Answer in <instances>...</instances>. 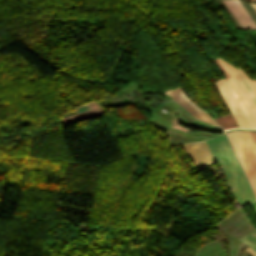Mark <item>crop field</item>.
Here are the masks:
<instances>
[{
	"label": "crop field",
	"mask_w": 256,
	"mask_h": 256,
	"mask_svg": "<svg viewBox=\"0 0 256 256\" xmlns=\"http://www.w3.org/2000/svg\"><path fill=\"white\" fill-rule=\"evenodd\" d=\"M206 143L223 172L232 194L241 205L256 200L225 136L206 140Z\"/></svg>",
	"instance_id": "crop-field-1"
},
{
	"label": "crop field",
	"mask_w": 256,
	"mask_h": 256,
	"mask_svg": "<svg viewBox=\"0 0 256 256\" xmlns=\"http://www.w3.org/2000/svg\"><path fill=\"white\" fill-rule=\"evenodd\" d=\"M256 195V144L249 131L226 133Z\"/></svg>",
	"instance_id": "crop-field-2"
},
{
	"label": "crop field",
	"mask_w": 256,
	"mask_h": 256,
	"mask_svg": "<svg viewBox=\"0 0 256 256\" xmlns=\"http://www.w3.org/2000/svg\"><path fill=\"white\" fill-rule=\"evenodd\" d=\"M240 128H256L230 77L215 82Z\"/></svg>",
	"instance_id": "crop-field-3"
},
{
	"label": "crop field",
	"mask_w": 256,
	"mask_h": 256,
	"mask_svg": "<svg viewBox=\"0 0 256 256\" xmlns=\"http://www.w3.org/2000/svg\"><path fill=\"white\" fill-rule=\"evenodd\" d=\"M218 62L221 64V66L225 69V71L228 73V75L231 77L236 89L238 90L243 102L245 103L250 115L252 116L255 124H256V107L249 96L245 86L243 85L239 75L236 73V71L233 69V67L227 63H225L220 58H216Z\"/></svg>",
	"instance_id": "crop-field-4"
},
{
	"label": "crop field",
	"mask_w": 256,
	"mask_h": 256,
	"mask_svg": "<svg viewBox=\"0 0 256 256\" xmlns=\"http://www.w3.org/2000/svg\"><path fill=\"white\" fill-rule=\"evenodd\" d=\"M172 99L178 102L181 106H183L188 112H190L194 117L200 120H204L210 122L212 124L217 125V123L212 120L207 113L203 112L202 110L198 109L181 91L179 87L175 89H170L166 92Z\"/></svg>",
	"instance_id": "crop-field-5"
},
{
	"label": "crop field",
	"mask_w": 256,
	"mask_h": 256,
	"mask_svg": "<svg viewBox=\"0 0 256 256\" xmlns=\"http://www.w3.org/2000/svg\"><path fill=\"white\" fill-rule=\"evenodd\" d=\"M183 148L199 169L212 164L214 161L204 141L184 145Z\"/></svg>",
	"instance_id": "crop-field-6"
},
{
	"label": "crop field",
	"mask_w": 256,
	"mask_h": 256,
	"mask_svg": "<svg viewBox=\"0 0 256 256\" xmlns=\"http://www.w3.org/2000/svg\"><path fill=\"white\" fill-rule=\"evenodd\" d=\"M244 29H256V24L239 0H222Z\"/></svg>",
	"instance_id": "crop-field-7"
},
{
	"label": "crop field",
	"mask_w": 256,
	"mask_h": 256,
	"mask_svg": "<svg viewBox=\"0 0 256 256\" xmlns=\"http://www.w3.org/2000/svg\"><path fill=\"white\" fill-rule=\"evenodd\" d=\"M103 114V112L98 109V110H94V111H89V112H84L81 114H76L73 116H69V117H65L60 119L62 121V123L64 125L76 122V121H80V120H84V119H88V118H92V117H96Z\"/></svg>",
	"instance_id": "crop-field-8"
},
{
	"label": "crop field",
	"mask_w": 256,
	"mask_h": 256,
	"mask_svg": "<svg viewBox=\"0 0 256 256\" xmlns=\"http://www.w3.org/2000/svg\"><path fill=\"white\" fill-rule=\"evenodd\" d=\"M255 214H256V201L250 203ZM242 242L245 244L249 245L255 252H256V229L252 230L248 234H246L244 237L241 239Z\"/></svg>",
	"instance_id": "crop-field-9"
},
{
	"label": "crop field",
	"mask_w": 256,
	"mask_h": 256,
	"mask_svg": "<svg viewBox=\"0 0 256 256\" xmlns=\"http://www.w3.org/2000/svg\"><path fill=\"white\" fill-rule=\"evenodd\" d=\"M223 129L229 128V127H237L235 121L233 120L231 114L221 116L219 118L215 119Z\"/></svg>",
	"instance_id": "crop-field-10"
},
{
	"label": "crop field",
	"mask_w": 256,
	"mask_h": 256,
	"mask_svg": "<svg viewBox=\"0 0 256 256\" xmlns=\"http://www.w3.org/2000/svg\"><path fill=\"white\" fill-rule=\"evenodd\" d=\"M80 107H81L82 111H88L91 109L99 108L98 105L94 101L82 104V105H80ZM80 107L79 106L74 107V110L76 111V113L82 112Z\"/></svg>",
	"instance_id": "crop-field-11"
},
{
	"label": "crop field",
	"mask_w": 256,
	"mask_h": 256,
	"mask_svg": "<svg viewBox=\"0 0 256 256\" xmlns=\"http://www.w3.org/2000/svg\"><path fill=\"white\" fill-rule=\"evenodd\" d=\"M234 69H235V70L237 71V73L240 75V77H241V79H242L244 85L246 86V88H247V90H248L250 96L252 97V99H253V101H254V103H255V105H256V98H255L253 92L251 91V89H250L248 83L246 82V80H245L243 74L240 72V70H238V69H236V68H234Z\"/></svg>",
	"instance_id": "crop-field-12"
},
{
	"label": "crop field",
	"mask_w": 256,
	"mask_h": 256,
	"mask_svg": "<svg viewBox=\"0 0 256 256\" xmlns=\"http://www.w3.org/2000/svg\"><path fill=\"white\" fill-rule=\"evenodd\" d=\"M241 71H242V70H241ZM242 73L244 74V76H245L247 82L249 83V85H250L252 91L254 92V94H255V96H256V81L250 80V79L246 76V74H245L243 71H242Z\"/></svg>",
	"instance_id": "crop-field-13"
},
{
	"label": "crop field",
	"mask_w": 256,
	"mask_h": 256,
	"mask_svg": "<svg viewBox=\"0 0 256 256\" xmlns=\"http://www.w3.org/2000/svg\"><path fill=\"white\" fill-rule=\"evenodd\" d=\"M250 132H251V134H252V136H253V138H254V140L256 142V131H250Z\"/></svg>",
	"instance_id": "crop-field-14"
},
{
	"label": "crop field",
	"mask_w": 256,
	"mask_h": 256,
	"mask_svg": "<svg viewBox=\"0 0 256 256\" xmlns=\"http://www.w3.org/2000/svg\"><path fill=\"white\" fill-rule=\"evenodd\" d=\"M252 4V3H251ZM252 6L255 8V10H256V4H252Z\"/></svg>",
	"instance_id": "crop-field-15"
}]
</instances>
